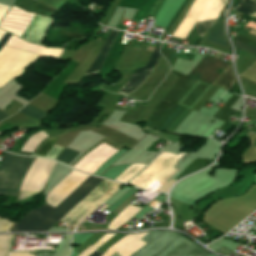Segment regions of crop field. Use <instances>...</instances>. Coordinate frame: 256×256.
I'll list each match as a JSON object with an SVG mask.
<instances>
[{"label": "crop field", "instance_id": "2", "mask_svg": "<svg viewBox=\"0 0 256 256\" xmlns=\"http://www.w3.org/2000/svg\"><path fill=\"white\" fill-rule=\"evenodd\" d=\"M182 236V235H181ZM179 234L169 231H154L147 234L142 240L148 244L133 256H209Z\"/></svg>", "mask_w": 256, "mask_h": 256}, {"label": "crop field", "instance_id": "31", "mask_svg": "<svg viewBox=\"0 0 256 256\" xmlns=\"http://www.w3.org/2000/svg\"><path fill=\"white\" fill-rule=\"evenodd\" d=\"M5 33H6V32L0 30V39L4 36Z\"/></svg>", "mask_w": 256, "mask_h": 256}, {"label": "crop field", "instance_id": "15", "mask_svg": "<svg viewBox=\"0 0 256 256\" xmlns=\"http://www.w3.org/2000/svg\"><path fill=\"white\" fill-rule=\"evenodd\" d=\"M233 10L254 17L256 16V0H239Z\"/></svg>", "mask_w": 256, "mask_h": 256}, {"label": "crop field", "instance_id": "30", "mask_svg": "<svg viewBox=\"0 0 256 256\" xmlns=\"http://www.w3.org/2000/svg\"><path fill=\"white\" fill-rule=\"evenodd\" d=\"M6 116L8 115L3 110L0 109V120Z\"/></svg>", "mask_w": 256, "mask_h": 256}, {"label": "crop field", "instance_id": "11", "mask_svg": "<svg viewBox=\"0 0 256 256\" xmlns=\"http://www.w3.org/2000/svg\"><path fill=\"white\" fill-rule=\"evenodd\" d=\"M7 46H12L28 51H32L35 53H39L45 56H53L58 58L59 54L61 53L62 49L58 48H48V47H41L33 44H29L21 39L16 38L15 36L11 35L8 42L6 43Z\"/></svg>", "mask_w": 256, "mask_h": 256}, {"label": "crop field", "instance_id": "3", "mask_svg": "<svg viewBox=\"0 0 256 256\" xmlns=\"http://www.w3.org/2000/svg\"><path fill=\"white\" fill-rule=\"evenodd\" d=\"M122 184L103 179L80 200L60 221L76 228L77 225L104 201L110 198ZM121 188V187H120ZM85 220V219H84ZM64 223V224H65Z\"/></svg>", "mask_w": 256, "mask_h": 256}, {"label": "crop field", "instance_id": "5", "mask_svg": "<svg viewBox=\"0 0 256 256\" xmlns=\"http://www.w3.org/2000/svg\"><path fill=\"white\" fill-rule=\"evenodd\" d=\"M37 56L35 53L4 46L0 51V87L9 79L17 78Z\"/></svg>", "mask_w": 256, "mask_h": 256}, {"label": "crop field", "instance_id": "32", "mask_svg": "<svg viewBox=\"0 0 256 256\" xmlns=\"http://www.w3.org/2000/svg\"><path fill=\"white\" fill-rule=\"evenodd\" d=\"M224 2L226 3V0H224Z\"/></svg>", "mask_w": 256, "mask_h": 256}, {"label": "crop field", "instance_id": "7", "mask_svg": "<svg viewBox=\"0 0 256 256\" xmlns=\"http://www.w3.org/2000/svg\"><path fill=\"white\" fill-rule=\"evenodd\" d=\"M183 154L184 153L179 155L169 152L162 153L141 174L131 180L130 183L137 187L143 188L154 177L166 182L178 171L173 165L181 158Z\"/></svg>", "mask_w": 256, "mask_h": 256}, {"label": "crop field", "instance_id": "22", "mask_svg": "<svg viewBox=\"0 0 256 256\" xmlns=\"http://www.w3.org/2000/svg\"><path fill=\"white\" fill-rule=\"evenodd\" d=\"M56 140L57 138H51L48 141H46L37 154L45 156V154L48 152V150L51 148V146L54 144Z\"/></svg>", "mask_w": 256, "mask_h": 256}, {"label": "crop field", "instance_id": "18", "mask_svg": "<svg viewBox=\"0 0 256 256\" xmlns=\"http://www.w3.org/2000/svg\"><path fill=\"white\" fill-rule=\"evenodd\" d=\"M47 136L41 131L33 136H31L28 141L25 143L22 150L33 152L34 149L41 143L43 139Z\"/></svg>", "mask_w": 256, "mask_h": 256}, {"label": "crop field", "instance_id": "16", "mask_svg": "<svg viewBox=\"0 0 256 256\" xmlns=\"http://www.w3.org/2000/svg\"><path fill=\"white\" fill-rule=\"evenodd\" d=\"M235 82L233 75L231 73L230 65L222 73V75L214 82V86L220 87L222 89L228 90L231 85Z\"/></svg>", "mask_w": 256, "mask_h": 256}, {"label": "crop field", "instance_id": "25", "mask_svg": "<svg viewBox=\"0 0 256 256\" xmlns=\"http://www.w3.org/2000/svg\"><path fill=\"white\" fill-rule=\"evenodd\" d=\"M233 42H234V44H235V46H236L237 48L246 50V51L251 52V53H253V54L256 55V49H255V48H252V47H250V46H247V45H245V44H242V43L237 42V41H234V40H233Z\"/></svg>", "mask_w": 256, "mask_h": 256}, {"label": "crop field", "instance_id": "8", "mask_svg": "<svg viewBox=\"0 0 256 256\" xmlns=\"http://www.w3.org/2000/svg\"><path fill=\"white\" fill-rule=\"evenodd\" d=\"M149 233V232H147ZM147 233L141 234H127L119 241H117L114 245H112L104 254L98 251L97 249L102 246L106 241H108L115 234H105L101 237L93 246H89L83 253L79 256H113L116 252L119 256H131L134 252H136L140 247L144 244L140 239L144 237Z\"/></svg>", "mask_w": 256, "mask_h": 256}, {"label": "crop field", "instance_id": "6", "mask_svg": "<svg viewBox=\"0 0 256 256\" xmlns=\"http://www.w3.org/2000/svg\"><path fill=\"white\" fill-rule=\"evenodd\" d=\"M223 5L221 0H195L172 36L185 39L196 21L217 18Z\"/></svg>", "mask_w": 256, "mask_h": 256}, {"label": "crop field", "instance_id": "9", "mask_svg": "<svg viewBox=\"0 0 256 256\" xmlns=\"http://www.w3.org/2000/svg\"><path fill=\"white\" fill-rule=\"evenodd\" d=\"M160 43L158 42L155 46L151 58L146 66L136 69L133 76L129 79V81L124 85V87L118 92L119 94L128 95L134 92L137 88H139L146 77L149 75L153 67L155 66L157 60L161 56L159 54L158 48Z\"/></svg>", "mask_w": 256, "mask_h": 256}, {"label": "crop field", "instance_id": "13", "mask_svg": "<svg viewBox=\"0 0 256 256\" xmlns=\"http://www.w3.org/2000/svg\"><path fill=\"white\" fill-rule=\"evenodd\" d=\"M139 210L141 209L130 204L121 213H119L116 218L113 219L109 229L117 230L127 221H129Z\"/></svg>", "mask_w": 256, "mask_h": 256}, {"label": "crop field", "instance_id": "1", "mask_svg": "<svg viewBox=\"0 0 256 256\" xmlns=\"http://www.w3.org/2000/svg\"><path fill=\"white\" fill-rule=\"evenodd\" d=\"M101 180L89 176L55 208L45 204L29 211L9 232L47 231Z\"/></svg>", "mask_w": 256, "mask_h": 256}, {"label": "crop field", "instance_id": "12", "mask_svg": "<svg viewBox=\"0 0 256 256\" xmlns=\"http://www.w3.org/2000/svg\"><path fill=\"white\" fill-rule=\"evenodd\" d=\"M119 31L117 30H113L111 29L104 45L102 46L99 54L97 55L96 59L94 60V62L92 63V65L90 66V68L88 69V71L86 72V74L84 76L87 75H91V74H96L99 72L117 34Z\"/></svg>", "mask_w": 256, "mask_h": 256}, {"label": "crop field", "instance_id": "19", "mask_svg": "<svg viewBox=\"0 0 256 256\" xmlns=\"http://www.w3.org/2000/svg\"><path fill=\"white\" fill-rule=\"evenodd\" d=\"M14 235H0V256H7Z\"/></svg>", "mask_w": 256, "mask_h": 256}, {"label": "crop field", "instance_id": "14", "mask_svg": "<svg viewBox=\"0 0 256 256\" xmlns=\"http://www.w3.org/2000/svg\"><path fill=\"white\" fill-rule=\"evenodd\" d=\"M209 32L210 33L207 35L205 40L211 41L220 46L227 47L222 23L216 22Z\"/></svg>", "mask_w": 256, "mask_h": 256}, {"label": "crop field", "instance_id": "20", "mask_svg": "<svg viewBox=\"0 0 256 256\" xmlns=\"http://www.w3.org/2000/svg\"><path fill=\"white\" fill-rule=\"evenodd\" d=\"M78 153L65 148L56 160L68 165Z\"/></svg>", "mask_w": 256, "mask_h": 256}, {"label": "crop field", "instance_id": "4", "mask_svg": "<svg viewBox=\"0 0 256 256\" xmlns=\"http://www.w3.org/2000/svg\"><path fill=\"white\" fill-rule=\"evenodd\" d=\"M33 160L32 157L6 153L0 164V194H17L22 178Z\"/></svg>", "mask_w": 256, "mask_h": 256}, {"label": "crop field", "instance_id": "24", "mask_svg": "<svg viewBox=\"0 0 256 256\" xmlns=\"http://www.w3.org/2000/svg\"><path fill=\"white\" fill-rule=\"evenodd\" d=\"M62 151V148L58 147V146H53L50 151L48 152V154L46 155L47 158H51L54 159L57 157V155Z\"/></svg>", "mask_w": 256, "mask_h": 256}, {"label": "crop field", "instance_id": "27", "mask_svg": "<svg viewBox=\"0 0 256 256\" xmlns=\"http://www.w3.org/2000/svg\"><path fill=\"white\" fill-rule=\"evenodd\" d=\"M8 256H34L28 253H20V252H9Z\"/></svg>", "mask_w": 256, "mask_h": 256}, {"label": "crop field", "instance_id": "28", "mask_svg": "<svg viewBox=\"0 0 256 256\" xmlns=\"http://www.w3.org/2000/svg\"><path fill=\"white\" fill-rule=\"evenodd\" d=\"M8 9V6L0 5V19L4 16Z\"/></svg>", "mask_w": 256, "mask_h": 256}, {"label": "crop field", "instance_id": "17", "mask_svg": "<svg viewBox=\"0 0 256 256\" xmlns=\"http://www.w3.org/2000/svg\"><path fill=\"white\" fill-rule=\"evenodd\" d=\"M146 164H132L129 168H127L119 177L115 179V181L119 182H127L133 176H135Z\"/></svg>", "mask_w": 256, "mask_h": 256}, {"label": "crop field", "instance_id": "29", "mask_svg": "<svg viewBox=\"0 0 256 256\" xmlns=\"http://www.w3.org/2000/svg\"><path fill=\"white\" fill-rule=\"evenodd\" d=\"M9 37L10 34L6 33L5 36L0 40V49L4 46Z\"/></svg>", "mask_w": 256, "mask_h": 256}, {"label": "crop field", "instance_id": "10", "mask_svg": "<svg viewBox=\"0 0 256 256\" xmlns=\"http://www.w3.org/2000/svg\"><path fill=\"white\" fill-rule=\"evenodd\" d=\"M52 19L41 17V16H35L32 24L27 29L25 34L22 36V39L40 44Z\"/></svg>", "mask_w": 256, "mask_h": 256}, {"label": "crop field", "instance_id": "23", "mask_svg": "<svg viewBox=\"0 0 256 256\" xmlns=\"http://www.w3.org/2000/svg\"><path fill=\"white\" fill-rule=\"evenodd\" d=\"M34 5L42 8V9H44V10L50 12V13H52V14L58 10V9H56V8H54V7H52V6L48 5V4L40 1V0L37 3H35Z\"/></svg>", "mask_w": 256, "mask_h": 256}, {"label": "crop field", "instance_id": "26", "mask_svg": "<svg viewBox=\"0 0 256 256\" xmlns=\"http://www.w3.org/2000/svg\"><path fill=\"white\" fill-rule=\"evenodd\" d=\"M9 226H10L9 222L4 221V220H0V232H3L4 230H6Z\"/></svg>", "mask_w": 256, "mask_h": 256}, {"label": "crop field", "instance_id": "21", "mask_svg": "<svg viewBox=\"0 0 256 256\" xmlns=\"http://www.w3.org/2000/svg\"><path fill=\"white\" fill-rule=\"evenodd\" d=\"M21 112L39 120L41 119L42 117H44L46 114L36 110L35 108L27 105L26 107H24L22 110H20Z\"/></svg>", "mask_w": 256, "mask_h": 256}]
</instances>
